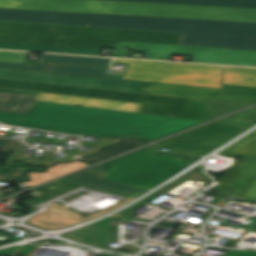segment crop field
<instances>
[{"label":"crop field","mask_w":256,"mask_h":256,"mask_svg":"<svg viewBox=\"0 0 256 256\" xmlns=\"http://www.w3.org/2000/svg\"><path fill=\"white\" fill-rule=\"evenodd\" d=\"M27 53L0 51V61L25 63Z\"/></svg>","instance_id":"d3111659"},{"label":"crop field","mask_w":256,"mask_h":256,"mask_svg":"<svg viewBox=\"0 0 256 256\" xmlns=\"http://www.w3.org/2000/svg\"><path fill=\"white\" fill-rule=\"evenodd\" d=\"M177 55L193 56L191 62L256 66V51L179 46Z\"/></svg>","instance_id":"22f410ed"},{"label":"crop field","mask_w":256,"mask_h":256,"mask_svg":"<svg viewBox=\"0 0 256 256\" xmlns=\"http://www.w3.org/2000/svg\"><path fill=\"white\" fill-rule=\"evenodd\" d=\"M36 97L20 96L0 92V110L29 112Z\"/></svg>","instance_id":"a9b5d70f"},{"label":"crop field","mask_w":256,"mask_h":256,"mask_svg":"<svg viewBox=\"0 0 256 256\" xmlns=\"http://www.w3.org/2000/svg\"><path fill=\"white\" fill-rule=\"evenodd\" d=\"M0 7L256 22L255 9L104 2L86 0H0Z\"/></svg>","instance_id":"34b2d1b8"},{"label":"crop field","mask_w":256,"mask_h":256,"mask_svg":"<svg viewBox=\"0 0 256 256\" xmlns=\"http://www.w3.org/2000/svg\"><path fill=\"white\" fill-rule=\"evenodd\" d=\"M131 63L124 79L222 88L223 66L115 59Z\"/></svg>","instance_id":"e52e79f7"},{"label":"crop field","mask_w":256,"mask_h":256,"mask_svg":"<svg viewBox=\"0 0 256 256\" xmlns=\"http://www.w3.org/2000/svg\"><path fill=\"white\" fill-rule=\"evenodd\" d=\"M86 166H89L79 160H77L74 163H69V164H59L55 167H51L49 168V171L46 173H35V172H31L29 173L32 181L28 182V183H24L25 185L32 187L35 186L37 184L43 183L45 181L54 179L56 177L65 175L67 173L73 172L75 170L84 168Z\"/></svg>","instance_id":"dafd665d"},{"label":"crop field","mask_w":256,"mask_h":256,"mask_svg":"<svg viewBox=\"0 0 256 256\" xmlns=\"http://www.w3.org/2000/svg\"><path fill=\"white\" fill-rule=\"evenodd\" d=\"M0 91L20 95L36 96L38 91L87 96L95 98L144 103L140 113L175 115L176 117L208 121L210 115L204 101L188 100L140 93H128L83 87L61 86L19 82L0 79Z\"/></svg>","instance_id":"412701ff"},{"label":"crop field","mask_w":256,"mask_h":256,"mask_svg":"<svg viewBox=\"0 0 256 256\" xmlns=\"http://www.w3.org/2000/svg\"><path fill=\"white\" fill-rule=\"evenodd\" d=\"M25 169L42 170V169L31 168V167L21 168L19 171L15 173L8 174V175H0V182H7V180L11 178L24 179L23 172Z\"/></svg>","instance_id":"750c4746"},{"label":"crop field","mask_w":256,"mask_h":256,"mask_svg":"<svg viewBox=\"0 0 256 256\" xmlns=\"http://www.w3.org/2000/svg\"><path fill=\"white\" fill-rule=\"evenodd\" d=\"M0 78L137 92L141 81L0 69Z\"/></svg>","instance_id":"28ad6ade"},{"label":"crop field","mask_w":256,"mask_h":256,"mask_svg":"<svg viewBox=\"0 0 256 256\" xmlns=\"http://www.w3.org/2000/svg\"><path fill=\"white\" fill-rule=\"evenodd\" d=\"M219 154L234 157H256V131L252 132Z\"/></svg>","instance_id":"4177f3b9"},{"label":"crop field","mask_w":256,"mask_h":256,"mask_svg":"<svg viewBox=\"0 0 256 256\" xmlns=\"http://www.w3.org/2000/svg\"><path fill=\"white\" fill-rule=\"evenodd\" d=\"M18 143H19V141H17V140H10V139L0 138V147H2L4 145L11 147L5 153H10Z\"/></svg>","instance_id":"1d83c4d3"},{"label":"crop field","mask_w":256,"mask_h":256,"mask_svg":"<svg viewBox=\"0 0 256 256\" xmlns=\"http://www.w3.org/2000/svg\"><path fill=\"white\" fill-rule=\"evenodd\" d=\"M62 236L104 249L112 240L113 231L87 226Z\"/></svg>","instance_id":"bc2a9ffb"},{"label":"crop field","mask_w":256,"mask_h":256,"mask_svg":"<svg viewBox=\"0 0 256 256\" xmlns=\"http://www.w3.org/2000/svg\"><path fill=\"white\" fill-rule=\"evenodd\" d=\"M247 129L249 128L211 123L156 145L179 154L205 156Z\"/></svg>","instance_id":"5a996713"},{"label":"crop field","mask_w":256,"mask_h":256,"mask_svg":"<svg viewBox=\"0 0 256 256\" xmlns=\"http://www.w3.org/2000/svg\"><path fill=\"white\" fill-rule=\"evenodd\" d=\"M105 170L94 167L77 174L65 177L89 189L136 198L148 190L102 179Z\"/></svg>","instance_id":"cbeb9de0"},{"label":"crop field","mask_w":256,"mask_h":256,"mask_svg":"<svg viewBox=\"0 0 256 256\" xmlns=\"http://www.w3.org/2000/svg\"><path fill=\"white\" fill-rule=\"evenodd\" d=\"M104 1L142 2V3L180 4V5H199V6H217V7H236V8H255L256 9V0H104Z\"/></svg>","instance_id":"4a817a6b"},{"label":"crop field","mask_w":256,"mask_h":256,"mask_svg":"<svg viewBox=\"0 0 256 256\" xmlns=\"http://www.w3.org/2000/svg\"><path fill=\"white\" fill-rule=\"evenodd\" d=\"M222 84L256 87V69L225 67Z\"/></svg>","instance_id":"92a150f3"},{"label":"crop field","mask_w":256,"mask_h":256,"mask_svg":"<svg viewBox=\"0 0 256 256\" xmlns=\"http://www.w3.org/2000/svg\"><path fill=\"white\" fill-rule=\"evenodd\" d=\"M179 223H174V222H164V221H160L158 223H156V226H160V227H171V228H175Z\"/></svg>","instance_id":"120bbe31"},{"label":"crop field","mask_w":256,"mask_h":256,"mask_svg":"<svg viewBox=\"0 0 256 256\" xmlns=\"http://www.w3.org/2000/svg\"><path fill=\"white\" fill-rule=\"evenodd\" d=\"M37 101L138 113L142 104L39 93Z\"/></svg>","instance_id":"d9b57169"},{"label":"crop field","mask_w":256,"mask_h":256,"mask_svg":"<svg viewBox=\"0 0 256 256\" xmlns=\"http://www.w3.org/2000/svg\"><path fill=\"white\" fill-rule=\"evenodd\" d=\"M1 49H15L23 51L36 52H54V53H70L98 56L101 49L91 48H73V47H58V46H43V45H28V44H13L0 43Z\"/></svg>","instance_id":"214f88e0"},{"label":"crop field","mask_w":256,"mask_h":256,"mask_svg":"<svg viewBox=\"0 0 256 256\" xmlns=\"http://www.w3.org/2000/svg\"><path fill=\"white\" fill-rule=\"evenodd\" d=\"M0 122L67 134L155 141L202 122L38 102L30 115L0 112Z\"/></svg>","instance_id":"8a807250"},{"label":"crop field","mask_w":256,"mask_h":256,"mask_svg":"<svg viewBox=\"0 0 256 256\" xmlns=\"http://www.w3.org/2000/svg\"><path fill=\"white\" fill-rule=\"evenodd\" d=\"M126 47H135L141 52H147L145 59L169 61L171 54L176 55L178 46L139 44L117 42L113 57L128 58Z\"/></svg>","instance_id":"733c2abd"},{"label":"crop field","mask_w":256,"mask_h":256,"mask_svg":"<svg viewBox=\"0 0 256 256\" xmlns=\"http://www.w3.org/2000/svg\"><path fill=\"white\" fill-rule=\"evenodd\" d=\"M56 152L46 151L42 160L53 161Z\"/></svg>","instance_id":"d32e631a"},{"label":"crop field","mask_w":256,"mask_h":256,"mask_svg":"<svg viewBox=\"0 0 256 256\" xmlns=\"http://www.w3.org/2000/svg\"><path fill=\"white\" fill-rule=\"evenodd\" d=\"M187 166L188 160L157 153L150 146L98 167L106 170L105 179L150 190Z\"/></svg>","instance_id":"dd49c442"},{"label":"crop field","mask_w":256,"mask_h":256,"mask_svg":"<svg viewBox=\"0 0 256 256\" xmlns=\"http://www.w3.org/2000/svg\"><path fill=\"white\" fill-rule=\"evenodd\" d=\"M184 19L0 9V21L180 32Z\"/></svg>","instance_id":"f4fd0767"},{"label":"crop field","mask_w":256,"mask_h":256,"mask_svg":"<svg viewBox=\"0 0 256 256\" xmlns=\"http://www.w3.org/2000/svg\"><path fill=\"white\" fill-rule=\"evenodd\" d=\"M244 198L256 201V178L243 196Z\"/></svg>","instance_id":"bd1437ed"},{"label":"crop field","mask_w":256,"mask_h":256,"mask_svg":"<svg viewBox=\"0 0 256 256\" xmlns=\"http://www.w3.org/2000/svg\"><path fill=\"white\" fill-rule=\"evenodd\" d=\"M109 60L43 54L39 66L0 62V68L104 77Z\"/></svg>","instance_id":"d1516ede"},{"label":"crop field","mask_w":256,"mask_h":256,"mask_svg":"<svg viewBox=\"0 0 256 256\" xmlns=\"http://www.w3.org/2000/svg\"><path fill=\"white\" fill-rule=\"evenodd\" d=\"M205 102L212 119L247 106V105L228 104V103L213 102V101H205Z\"/></svg>","instance_id":"ae1a2a85"},{"label":"crop field","mask_w":256,"mask_h":256,"mask_svg":"<svg viewBox=\"0 0 256 256\" xmlns=\"http://www.w3.org/2000/svg\"><path fill=\"white\" fill-rule=\"evenodd\" d=\"M248 231L256 232V221L251 225Z\"/></svg>","instance_id":"028f5c9d"},{"label":"crop field","mask_w":256,"mask_h":256,"mask_svg":"<svg viewBox=\"0 0 256 256\" xmlns=\"http://www.w3.org/2000/svg\"><path fill=\"white\" fill-rule=\"evenodd\" d=\"M256 122V107L230 116L223 120L217 121V123L233 124L240 126L253 127Z\"/></svg>","instance_id":"eef30255"},{"label":"crop field","mask_w":256,"mask_h":256,"mask_svg":"<svg viewBox=\"0 0 256 256\" xmlns=\"http://www.w3.org/2000/svg\"><path fill=\"white\" fill-rule=\"evenodd\" d=\"M138 92L228 103H256V88L224 85L223 89L142 82Z\"/></svg>","instance_id":"3316defc"},{"label":"crop field","mask_w":256,"mask_h":256,"mask_svg":"<svg viewBox=\"0 0 256 256\" xmlns=\"http://www.w3.org/2000/svg\"><path fill=\"white\" fill-rule=\"evenodd\" d=\"M181 33L0 23V42L114 49L116 41L178 45Z\"/></svg>","instance_id":"ac0d7876"},{"label":"crop field","mask_w":256,"mask_h":256,"mask_svg":"<svg viewBox=\"0 0 256 256\" xmlns=\"http://www.w3.org/2000/svg\"><path fill=\"white\" fill-rule=\"evenodd\" d=\"M81 186L62 178L60 180H57L53 183H50L45 186H41L38 188H35L36 190L41 191L39 195L31 201L32 203L40 204L42 202H46L56 196H59L61 194H64L66 192H69L71 190H74L76 188H79ZM33 190V189H32ZM30 191V190H29Z\"/></svg>","instance_id":"00972430"},{"label":"crop field","mask_w":256,"mask_h":256,"mask_svg":"<svg viewBox=\"0 0 256 256\" xmlns=\"http://www.w3.org/2000/svg\"><path fill=\"white\" fill-rule=\"evenodd\" d=\"M83 145L85 146H93V147H98L99 143H89V142H82Z\"/></svg>","instance_id":"5866460e"},{"label":"crop field","mask_w":256,"mask_h":256,"mask_svg":"<svg viewBox=\"0 0 256 256\" xmlns=\"http://www.w3.org/2000/svg\"><path fill=\"white\" fill-rule=\"evenodd\" d=\"M143 144H146V143H144V142H142L138 139H126V140H123V141H121L120 143H118L114 146H111L109 148H106V149L100 151L97 154H94L92 156H89V157H86V158H83V159H80V160H82L84 162H87L89 164H92V163H95L97 161L103 160L105 158H108V157L114 156L116 154L122 153L124 151H127V150L133 149L135 147L141 146Z\"/></svg>","instance_id":"730fd06b"},{"label":"crop field","mask_w":256,"mask_h":256,"mask_svg":"<svg viewBox=\"0 0 256 256\" xmlns=\"http://www.w3.org/2000/svg\"><path fill=\"white\" fill-rule=\"evenodd\" d=\"M180 45L256 50V23L186 19Z\"/></svg>","instance_id":"d8731c3e"},{"label":"crop field","mask_w":256,"mask_h":256,"mask_svg":"<svg viewBox=\"0 0 256 256\" xmlns=\"http://www.w3.org/2000/svg\"><path fill=\"white\" fill-rule=\"evenodd\" d=\"M256 177V158H240L218 182L225 189L243 196Z\"/></svg>","instance_id":"5142ce71"}]
</instances>
